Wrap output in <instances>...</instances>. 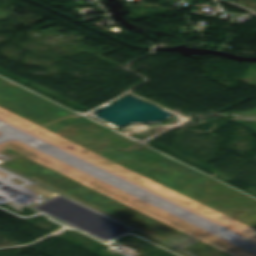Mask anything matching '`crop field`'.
<instances>
[{
    "instance_id": "8a807250",
    "label": "crop field",
    "mask_w": 256,
    "mask_h": 256,
    "mask_svg": "<svg viewBox=\"0 0 256 256\" xmlns=\"http://www.w3.org/2000/svg\"><path fill=\"white\" fill-rule=\"evenodd\" d=\"M196 256H253L217 238L186 250Z\"/></svg>"
}]
</instances>
